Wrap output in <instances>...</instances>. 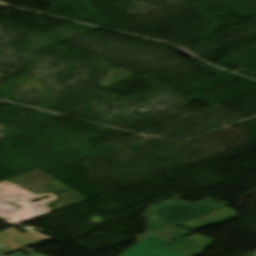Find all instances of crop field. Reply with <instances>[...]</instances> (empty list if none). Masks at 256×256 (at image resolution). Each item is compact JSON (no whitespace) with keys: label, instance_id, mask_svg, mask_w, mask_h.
Masks as SVG:
<instances>
[{"label":"crop field","instance_id":"8a807250","mask_svg":"<svg viewBox=\"0 0 256 256\" xmlns=\"http://www.w3.org/2000/svg\"><path fill=\"white\" fill-rule=\"evenodd\" d=\"M215 205L217 204L211 200L197 203H185L180 201L167 200L155 205H151L144 215L148 221L146 231L192 215Z\"/></svg>","mask_w":256,"mask_h":256},{"label":"crop field","instance_id":"ac0d7876","mask_svg":"<svg viewBox=\"0 0 256 256\" xmlns=\"http://www.w3.org/2000/svg\"><path fill=\"white\" fill-rule=\"evenodd\" d=\"M46 239L47 238L32 232L22 235L13 228L0 231V246H5L3 248L10 252Z\"/></svg>","mask_w":256,"mask_h":256},{"label":"crop field","instance_id":"34b2d1b8","mask_svg":"<svg viewBox=\"0 0 256 256\" xmlns=\"http://www.w3.org/2000/svg\"><path fill=\"white\" fill-rule=\"evenodd\" d=\"M137 239L139 242L122 256H152L162 248L159 245L172 241L150 232L137 236Z\"/></svg>","mask_w":256,"mask_h":256},{"label":"crop field","instance_id":"412701ff","mask_svg":"<svg viewBox=\"0 0 256 256\" xmlns=\"http://www.w3.org/2000/svg\"><path fill=\"white\" fill-rule=\"evenodd\" d=\"M222 207H225V206L219 205V206H217V207L211 208V209L206 210V211H204V212H201V213H199V214H196V215H193V216L188 217V218H186V219H183V220H181V221L175 222V223H173V224L177 225V224H179V223H182V222H185V221H187V220L193 219V218H195V217L201 216V215H203V214L212 212V211L217 210V209H220V208H222Z\"/></svg>","mask_w":256,"mask_h":256},{"label":"crop field","instance_id":"f4fd0767","mask_svg":"<svg viewBox=\"0 0 256 256\" xmlns=\"http://www.w3.org/2000/svg\"><path fill=\"white\" fill-rule=\"evenodd\" d=\"M154 256H184V255H181V254H178V253H175L173 251L163 248L158 253H156Z\"/></svg>","mask_w":256,"mask_h":256},{"label":"crop field","instance_id":"dd49c442","mask_svg":"<svg viewBox=\"0 0 256 256\" xmlns=\"http://www.w3.org/2000/svg\"><path fill=\"white\" fill-rule=\"evenodd\" d=\"M9 256H25V255H23V254L17 252V253H15V254H12V255H9ZM30 256H42V255L37 254V253H34V254L30 255Z\"/></svg>","mask_w":256,"mask_h":256}]
</instances>
